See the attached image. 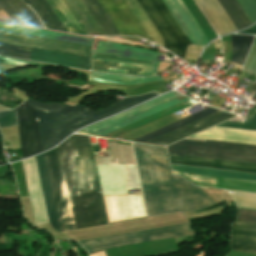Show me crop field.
<instances>
[{"instance_id":"crop-field-34","label":"crop field","mask_w":256,"mask_h":256,"mask_svg":"<svg viewBox=\"0 0 256 256\" xmlns=\"http://www.w3.org/2000/svg\"><path fill=\"white\" fill-rule=\"evenodd\" d=\"M13 67H19V66L0 63V73L6 71V70H8V69H11V68H13Z\"/></svg>"},{"instance_id":"crop-field-21","label":"crop field","mask_w":256,"mask_h":256,"mask_svg":"<svg viewBox=\"0 0 256 256\" xmlns=\"http://www.w3.org/2000/svg\"><path fill=\"white\" fill-rule=\"evenodd\" d=\"M140 25L142 26L143 30L147 34V36L150 35L151 38L154 37L155 42L158 43L159 45L163 46V41L162 37L157 31V29L154 27L140 4L138 3L137 0H124Z\"/></svg>"},{"instance_id":"crop-field-1","label":"crop field","mask_w":256,"mask_h":256,"mask_svg":"<svg viewBox=\"0 0 256 256\" xmlns=\"http://www.w3.org/2000/svg\"><path fill=\"white\" fill-rule=\"evenodd\" d=\"M61 147L71 195L77 188L72 198ZM61 147L58 146L51 151L45 152L44 155L63 232L78 230V226L81 229L107 224L101 195L100 193H95L100 192V189L93 161L76 162L78 175H75L77 174L75 161L93 160L88 138L81 135H72L61 144ZM44 155L43 153L37 155L35 159L46 211L49 216L50 226L58 233H62ZM72 175H75L73 177L76 188ZM76 197L77 199L75 200Z\"/></svg>"},{"instance_id":"crop-field-23","label":"crop field","mask_w":256,"mask_h":256,"mask_svg":"<svg viewBox=\"0 0 256 256\" xmlns=\"http://www.w3.org/2000/svg\"><path fill=\"white\" fill-rule=\"evenodd\" d=\"M254 36L231 35L232 58L230 62L243 65Z\"/></svg>"},{"instance_id":"crop-field-4","label":"crop field","mask_w":256,"mask_h":256,"mask_svg":"<svg viewBox=\"0 0 256 256\" xmlns=\"http://www.w3.org/2000/svg\"><path fill=\"white\" fill-rule=\"evenodd\" d=\"M172 154L256 163V146L222 142L182 140L167 147ZM169 155L170 163L256 173V164Z\"/></svg>"},{"instance_id":"crop-field-16","label":"crop field","mask_w":256,"mask_h":256,"mask_svg":"<svg viewBox=\"0 0 256 256\" xmlns=\"http://www.w3.org/2000/svg\"><path fill=\"white\" fill-rule=\"evenodd\" d=\"M0 7L15 23L43 28L35 14L22 0H0Z\"/></svg>"},{"instance_id":"crop-field-27","label":"crop field","mask_w":256,"mask_h":256,"mask_svg":"<svg viewBox=\"0 0 256 256\" xmlns=\"http://www.w3.org/2000/svg\"><path fill=\"white\" fill-rule=\"evenodd\" d=\"M172 170L256 180V175L171 165Z\"/></svg>"},{"instance_id":"crop-field-35","label":"crop field","mask_w":256,"mask_h":256,"mask_svg":"<svg viewBox=\"0 0 256 256\" xmlns=\"http://www.w3.org/2000/svg\"><path fill=\"white\" fill-rule=\"evenodd\" d=\"M248 89L255 90L256 91V83L248 86Z\"/></svg>"},{"instance_id":"crop-field-18","label":"crop field","mask_w":256,"mask_h":256,"mask_svg":"<svg viewBox=\"0 0 256 256\" xmlns=\"http://www.w3.org/2000/svg\"><path fill=\"white\" fill-rule=\"evenodd\" d=\"M0 29L18 32V33L29 34V35H35V36H40V37H45V38H51V39H56V40H62V41H67V42H73V43H78V44H83V45H89V46H91V40H92L89 38L46 32V31H41V30H36V29L8 25V24H4V23H0Z\"/></svg>"},{"instance_id":"crop-field-5","label":"crop field","mask_w":256,"mask_h":256,"mask_svg":"<svg viewBox=\"0 0 256 256\" xmlns=\"http://www.w3.org/2000/svg\"><path fill=\"white\" fill-rule=\"evenodd\" d=\"M92 52H93V55L109 56V57H115L119 59L149 62V65H143L148 63L94 56V59H100V60L143 63V64H132V63L113 62L112 66H116V67H125V68L137 67L135 75H142V76L155 75L156 69L160 64L159 61H156L159 53L142 50L138 48H133V47H126V46L119 45L113 42H108V41L107 42L98 41L96 51H92ZM100 60H95V61H100ZM111 61H104V62H111ZM111 64L112 63L94 62V70L107 71V68H112V69L125 70V73L127 74L134 75L135 73L136 68H130V69L116 68V67H111ZM112 69H108V72L124 73V71L112 70Z\"/></svg>"},{"instance_id":"crop-field-12","label":"crop field","mask_w":256,"mask_h":256,"mask_svg":"<svg viewBox=\"0 0 256 256\" xmlns=\"http://www.w3.org/2000/svg\"><path fill=\"white\" fill-rule=\"evenodd\" d=\"M121 35H146L122 0H98Z\"/></svg>"},{"instance_id":"crop-field-29","label":"crop field","mask_w":256,"mask_h":256,"mask_svg":"<svg viewBox=\"0 0 256 256\" xmlns=\"http://www.w3.org/2000/svg\"><path fill=\"white\" fill-rule=\"evenodd\" d=\"M251 23L256 21V0H236Z\"/></svg>"},{"instance_id":"crop-field-2","label":"crop field","mask_w":256,"mask_h":256,"mask_svg":"<svg viewBox=\"0 0 256 256\" xmlns=\"http://www.w3.org/2000/svg\"><path fill=\"white\" fill-rule=\"evenodd\" d=\"M133 146L150 216L194 212L216 204L182 178L169 176L163 147L138 143Z\"/></svg>"},{"instance_id":"crop-field-14","label":"crop field","mask_w":256,"mask_h":256,"mask_svg":"<svg viewBox=\"0 0 256 256\" xmlns=\"http://www.w3.org/2000/svg\"><path fill=\"white\" fill-rule=\"evenodd\" d=\"M172 1H173V6L175 7V9L177 10V12L179 13V15L181 16V18L183 19V21L185 22V24L187 25V27L189 28V30L191 31V33L193 34V36L195 37V39L197 40V42H198V40L200 39V37H201V39L199 40V42L197 43L196 42V40L194 39V37L192 36V34L190 33V31L188 30V28L186 27V25L184 24V22L182 21V19L180 18V16L178 15V13L176 12V10L174 9V7L172 6ZM163 0V2L165 3V5L168 7V9L170 10V12L172 13V15L174 16V18L176 19V21L179 23V25L181 26V28L183 29V31L185 32V34L187 35V37L190 39V41L192 42V44H195V45H201V46H204L206 43H208L209 41H208V39L206 38V36L204 35V33L202 32V30L200 29V27L197 25V23L195 22V20L193 19V17L191 16V14L189 13V11L187 10V8L185 7V5L183 4V2L181 1V0H178V2L180 3V5L182 6V8L185 10V12L187 13V15L189 16V18L191 19V21L193 22V24L195 25V27L197 28V30L199 31V33L201 34V36H200V34L198 33V31L196 30V28L194 27V25L192 24V22L190 21V19L188 18V16L186 15V13L184 12V10L181 8V6L179 5V3L177 2V0Z\"/></svg>"},{"instance_id":"crop-field-26","label":"crop field","mask_w":256,"mask_h":256,"mask_svg":"<svg viewBox=\"0 0 256 256\" xmlns=\"http://www.w3.org/2000/svg\"><path fill=\"white\" fill-rule=\"evenodd\" d=\"M88 35H91L90 33H99V35H102L90 15L87 13L83 5L79 0H66Z\"/></svg>"},{"instance_id":"crop-field-3","label":"crop field","mask_w":256,"mask_h":256,"mask_svg":"<svg viewBox=\"0 0 256 256\" xmlns=\"http://www.w3.org/2000/svg\"><path fill=\"white\" fill-rule=\"evenodd\" d=\"M156 95L148 93L131 97L99 110L97 114L105 118ZM24 102L36 109L42 151L53 147L69 133L101 119L95 111L80 104L71 107L64 103H41L31 98Z\"/></svg>"},{"instance_id":"crop-field-22","label":"crop field","mask_w":256,"mask_h":256,"mask_svg":"<svg viewBox=\"0 0 256 256\" xmlns=\"http://www.w3.org/2000/svg\"><path fill=\"white\" fill-rule=\"evenodd\" d=\"M88 80L132 85V84L162 80V78H160L158 76L149 77V78H142V77H133V76H124V75H115V74L91 72L90 75H89Z\"/></svg>"},{"instance_id":"crop-field-33","label":"crop field","mask_w":256,"mask_h":256,"mask_svg":"<svg viewBox=\"0 0 256 256\" xmlns=\"http://www.w3.org/2000/svg\"><path fill=\"white\" fill-rule=\"evenodd\" d=\"M0 62L20 65V66H25V65L37 63V62H31V61L14 59V58L3 57V56H0Z\"/></svg>"},{"instance_id":"crop-field-31","label":"crop field","mask_w":256,"mask_h":256,"mask_svg":"<svg viewBox=\"0 0 256 256\" xmlns=\"http://www.w3.org/2000/svg\"><path fill=\"white\" fill-rule=\"evenodd\" d=\"M244 69L256 75V38L247 58Z\"/></svg>"},{"instance_id":"crop-field-30","label":"crop field","mask_w":256,"mask_h":256,"mask_svg":"<svg viewBox=\"0 0 256 256\" xmlns=\"http://www.w3.org/2000/svg\"><path fill=\"white\" fill-rule=\"evenodd\" d=\"M17 125L15 109L0 112V128Z\"/></svg>"},{"instance_id":"crop-field-32","label":"crop field","mask_w":256,"mask_h":256,"mask_svg":"<svg viewBox=\"0 0 256 256\" xmlns=\"http://www.w3.org/2000/svg\"><path fill=\"white\" fill-rule=\"evenodd\" d=\"M237 219L256 222V212L239 209V215H238Z\"/></svg>"},{"instance_id":"crop-field-11","label":"crop field","mask_w":256,"mask_h":256,"mask_svg":"<svg viewBox=\"0 0 256 256\" xmlns=\"http://www.w3.org/2000/svg\"><path fill=\"white\" fill-rule=\"evenodd\" d=\"M24 103L16 108L23 158L41 152L35 109Z\"/></svg>"},{"instance_id":"crop-field-20","label":"crop field","mask_w":256,"mask_h":256,"mask_svg":"<svg viewBox=\"0 0 256 256\" xmlns=\"http://www.w3.org/2000/svg\"><path fill=\"white\" fill-rule=\"evenodd\" d=\"M35 10L46 28L65 31L64 27L45 0H26Z\"/></svg>"},{"instance_id":"crop-field-19","label":"crop field","mask_w":256,"mask_h":256,"mask_svg":"<svg viewBox=\"0 0 256 256\" xmlns=\"http://www.w3.org/2000/svg\"><path fill=\"white\" fill-rule=\"evenodd\" d=\"M104 35H120L97 0H82Z\"/></svg>"},{"instance_id":"crop-field-15","label":"crop field","mask_w":256,"mask_h":256,"mask_svg":"<svg viewBox=\"0 0 256 256\" xmlns=\"http://www.w3.org/2000/svg\"><path fill=\"white\" fill-rule=\"evenodd\" d=\"M231 249L256 254V223L235 220Z\"/></svg>"},{"instance_id":"crop-field-9","label":"crop field","mask_w":256,"mask_h":256,"mask_svg":"<svg viewBox=\"0 0 256 256\" xmlns=\"http://www.w3.org/2000/svg\"><path fill=\"white\" fill-rule=\"evenodd\" d=\"M0 42L90 58L89 46L0 30Z\"/></svg>"},{"instance_id":"crop-field-6","label":"crop field","mask_w":256,"mask_h":256,"mask_svg":"<svg viewBox=\"0 0 256 256\" xmlns=\"http://www.w3.org/2000/svg\"><path fill=\"white\" fill-rule=\"evenodd\" d=\"M193 231L189 223L133 232L128 234L80 241L89 253L106 250L110 248L126 246L136 243L160 240L165 238L192 234Z\"/></svg>"},{"instance_id":"crop-field-28","label":"crop field","mask_w":256,"mask_h":256,"mask_svg":"<svg viewBox=\"0 0 256 256\" xmlns=\"http://www.w3.org/2000/svg\"><path fill=\"white\" fill-rule=\"evenodd\" d=\"M218 126L256 131V108L253 110V112L250 114V116L248 117L244 124L225 122Z\"/></svg>"},{"instance_id":"crop-field-8","label":"crop field","mask_w":256,"mask_h":256,"mask_svg":"<svg viewBox=\"0 0 256 256\" xmlns=\"http://www.w3.org/2000/svg\"><path fill=\"white\" fill-rule=\"evenodd\" d=\"M177 97L173 92L164 95L162 97L151 100L147 103H144L138 107H135L129 111H126L120 115L114 116L112 118L106 119L104 121L98 122L91 126H88L77 133L86 134V135H95L101 136L105 133L113 131L117 128H120L124 125H127L131 122L139 120L143 117H146L150 114L158 112L162 109H165L169 106H172L181 101L174 99L172 101H168L172 98ZM188 99V98H186ZM184 99V100H186ZM182 100V101H184Z\"/></svg>"},{"instance_id":"crop-field-10","label":"crop field","mask_w":256,"mask_h":256,"mask_svg":"<svg viewBox=\"0 0 256 256\" xmlns=\"http://www.w3.org/2000/svg\"><path fill=\"white\" fill-rule=\"evenodd\" d=\"M33 49L0 43V54L28 59ZM42 62L90 70V59L34 49L30 58Z\"/></svg>"},{"instance_id":"crop-field-13","label":"crop field","mask_w":256,"mask_h":256,"mask_svg":"<svg viewBox=\"0 0 256 256\" xmlns=\"http://www.w3.org/2000/svg\"><path fill=\"white\" fill-rule=\"evenodd\" d=\"M233 115L234 114L218 111L214 114H211L186 126H183L160 137H157L153 140H150L148 141V143L166 145L170 142H173L177 139H180L184 136H187L191 133H194L198 130H201L207 126H210Z\"/></svg>"},{"instance_id":"crop-field-17","label":"crop field","mask_w":256,"mask_h":256,"mask_svg":"<svg viewBox=\"0 0 256 256\" xmlns=\"http://www.w3.org/2000/svg\"><path fill=\"white\" fill-rule=\"evenodd\" d=\"M67 32L87 35L65 0H46Z\"/></svg>"},{"instance_id":"crop-field-25","label":"crop field","mask_w":256,"mask_h":256,"mask_svg":"<svg viewBox=\"0 0 256 256\" xmlns=\"http://www.w3.org/2000/svg\"><path fill=\"white\" fill-rule=\"evenodd\" d=\"M237 30L250 25V21L235 0H218Z\"/></svg>"},{"instance_id":"crop-field-24","label":"crop field","mask_w":256,"mask_h":256,"mask_svg":"<svg viewBox=\"0 0 256 256\" xmlns=\"http://www.w3.org/2000/svg\"><path fill=\"white\" fill-rule=\"evenodd\" d=\"M216 111H218V110H214V109L208 108V109H206L204 111L196 113V114H194L192 116H189V117H187L185 119H182V120H180L178 122L170 124V125H168L166 127H163V128H161L159 130H156V131H154L152 133H149V134L144 135V136H142L140 138H137V139H135V141L146 142V141H148L150 139H153V138H155L157 136H160V135H162L164 133H167V132H169L171 130H174V129L178 128V127H181L183 125H186V124H188L190 122H193V121H195L197 119H200V118H202L204 116H207V115H209L211 113H214Z\"/></svg>"},{"instance_id":"crop-field-7","label":"crop field","mask_w":256,"mask_h":256,"mask_svg":"<svg viewBox=\"0 0 256 256\" xmlns=\"http://www.w3.org/2000/svg\"><path fill=\"white\" fill-rule=\"evenodd\" d=\"M163 37L164 48L183 59L190 44L162 0H138Z\"/></svg>"},{"instance_id":"crop-field-36","label":"crop field","mask_w":256,"mask_h":256,"mask_svg":"<svg viewBox=\"0 0 256 256\" xmlns=\"http://www.w3.org/2000/svg\"><path fill=\"white\" fill-rule=\"evenodd\" d=\"M1 9V8H0Z\"/></svg>"}]
</instances>
